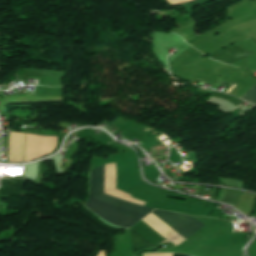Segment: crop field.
Returning <instances> with one entry per match:
<instances>
[{"label": "crop field", "instance_id": "1", "mask_svg": "<svg viewBox=\"0 0 256 256\" xmlns=\"http://www.w3.org/2000/svg\"><path fill=\"white\" fill-rule=\"evenodd\" d=\"M104 165L90 171V197L104 201L122 208L135 211L140 214H148L152 209L142 207L127 201H123L103 194ZM89 198L84 206L97 213L107 221L122 227H132L144 215H140L116 206H112Z\"/></svg>", "mask_w": 256, "mask_h": 256}, {"label": "crop field", "instance_id": "2", "mask_svg": "<svg viewBox=\"0 0 256 256\" xmlns=\"http://www.w3.org/2000/svg\"><path fill=\"white\" fill-rule=\"evenodd\" d=\"M152 213L180 235H182L184 238H188L205 225L189 216L181 215L178 213L160 210H155Z\"/></svg>", "mask_w": 256, "mask_h": 256}, {"label": "crop field", "instance_id": "3", "mask_svg": "<svg viewBox=\"0 0 256 256\" xmlns=\"http://www.w3.org/2000/svg\"><path fill=\"white\" fill-rule=\"evenodd\" d=\"M25 180L5 179L4 189H0V195H24L22 185Z\"/></svg>", "mask_w": 256, "mask_h": 256}, {"label": "crop field", "instance_id": "4", "mask_svg": "<svg viewBox=\"0 0 256 256\" xmlns=\"http://www.w3.org/2000/svg\"><path fill=\"white\" fill-rule=\"evenodd\" d=\"M133 235V253L138 254L143 251L154 249V247L147 242L144 238L138 235L133 229H131Z\"/></svg>", "mask_w": 256, "mask_h": 256}, {"label": "crop field", "instance_id": "5", "mask_svg": "<svg viewBox=\"0 0 256 256\" xmlns=\"http://www.w3.org/2000/svg\"><path fill=\"white\" fill-rule=\"evenodd\" d=\"M242 99L247 100L252 103H256V85L253 86L243 97Z\"/></svg>", "mask_w": 256, "mask_h": 256}, {"label": "crop field", "instance_id": "6", "mask_svg": "<svg viewBox=\"0 0 256 256\" xmlns=\"http://www.w3.org/2000/svg\"><path fill=\"white\" fill-rule=\"evenodd\" d=\"M173 256H187V255H184V254H173Z\"/></svg>", "mask_w": 256, "mask_h": 256}]
</instances>
